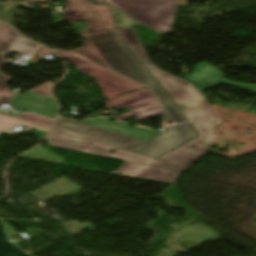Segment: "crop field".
<instances>
[{
  "instance_id": "a9b5d70f",
  "label": "crop field",
  "mask_w": 256,
  "mask_h": 256,
  "mask_svg": "<svg viewBox=\"0 0 256 256\" xmlns=\"http://www.w3.org/2000/svg\"><path fill=\"white\" fill-rule=\"evenodd\" d=\"M104 1V0H103Z\"/></svg>"
},
{
  "instance_id": "733c2abd",
  "label": "crop field",
  "mask_w": 256,
  "mask_h": 256,
  "mask_svg": "<svg viewBox=\"0 0 256 256\" xmlns=\"http://www.w3.org/2000/svg\"><path fill=\"white\" fill-rule=\"evenodd\" d=\"M5 84L6 83L0 82V104L1 103L8 104L9 100L15 94V92L9 91V89L7 87H5ZM3 114H5V113H3ZM6 115H9V114H6ZM9 116H13V115H9Z\"/></svg>"
},
{
  "instance_id": "22f410ed",
  "label": "crop field",
  "mask_w": 256,
  "mask_h": 256,
  "mask_svg": "<svg viewBox=\"0 0 256 256\" xmlns=\"http://www.w3.org/2000/svg\"><path fill=\"white\" fill-rule=\"evenodd\" d=\"M38 45L21 38L9 26L0 22V51L30 54Z\"/></svg>"
},
{
  "instance_id": "92a150f3",
  "label": "crop field",
  "mask_w": 256,
  "mask_h": 256,
  "mask_svg": "<svg viewBox=\"0 0 256 256\" xmlns=\"http://www.w3.org/2000/svg\"><path fill=\"white\" fill-rule=\"evenodd\" d=\"M202 100H204V98H203L202 94H200V95H198V96L196 97V99H195L194 102L187 103L186 105H187L188 108H189V107H193V106L197 105V104H198L200 101H202Z\"/></svg>"
},
{
  "instance_id": "dafd665d",
  "label": "crop field",
  "mask_w": 256,
  "mask_h": 256,
  "mask_svg": "<svg viewBox=\"0 0 256 256\" xmlns=\"http://www.w3.org/2000/svg\"><path fill=\"white\" fill-rule=\"evenodd\" d=\"M93 6L105 5V2L101 0H88Z\"/></svg>"
},
{
  "instance_id": "d1516ede",
  "label": "crop field",
  "mask_w": 256,
  "mask_h": 256,
  "mask_svg": "<svg viewBox=\"0 0 256 256\" xmlns=\"http://www.w3.org/2000/svg\"><path fill=\"white\" fill-rule=\"evenodd\" d=\"M117 174L129 175L134 177L146 178L151 180L162 181L174 184L180 177V173L164 171L144 166H139L125 162L121 167L116 170Z\"/></svg>"
},
{
  "instance_id": "34b2d1b8",
  "label": "crop field",
  "mask_w": 256,
  "mask_h": 256,
  "mask_svg": "<svg viewBox=\"0 0 256 256\" xmlns=\"http://www.w3.org/2000/svg\"><path fill=\"white\" fill-rule=\"evenodd\" d=\"M0 1H27L33 3L45 4L52 0H0ZM66 5V9L63 12L64 20H70L72 22L89 21L90 27L86 32L81 35L84 39L83 47L68 51L76 56H79L85 60H88L96 65H99L107 70L110 67L98 53L96 48L90 42L86 35L113 31L114 27L113 19L107 6L92 7L87 0H63Z\"/></svg>"
},
{
  "instance_id": "4a817a6b",
  "label": "crop field",
  "mask_w": 256,
  "mask_h": 256,
  "mask_svg": "<svg viewBox=\"0 0 256 256\" xmlns=\"http://www.w3.org/2000/svg\"><path fill=\"white\" fill-rule=\"evenodd\" d=\"M50 86H52V83L48 82V83H46V84H44V85H42V86H40L36 89L30 90V91H33V92L51 97V95L49 93V87Z\"/></svg>"
},
{
  "instance_id": "00972430",
  "label": "crop field",
  "mask_w": 256,
  "mask_h": 256,
  "mask_svg": "<svg viewBox=\"0 0 256 256\" xmlns=\"http://www.w3.org/2000/svg\"><path fill=\"white\" fill-rule=\"evenodd\" d=\"M137 128H140V129H143V130H146V131H149V132H152V133L158 134V135H159V132H160V130H150V129L141 128V127H137Z\"/></svg>"
},
{
  "instance_id": "412701ff",
  "label": "crop field",
  "mask_w": 256,
  "mask_h": 256,
  "mask_svg": "<svg viewBox=\"0 0 256 256\" xmlns=\"http://www.w3.org/2000/svg\"><path fill=\"white\" fill-rule=\"evenodd\" d=\"M183 113L200 135L157 160L190 169L198 159L208 153L215 138L211 127L220 124L221 120L207 101L200 102L196 107L189 108Z\"/></svg>"
},
{
  "instance_id": "3316defc",
  "label": "crop field",
  "mask_w": 256,
  "mask_h": 256,
  "mask_svg": "<svg viewBox=\"0 0 256 256\" xmlns=\"http://www.w3.org/2000/svg\"><path fill=\"white\" fill-rule=\"evenodd\" d=\"M195 136H197V134L188 123L173 125L161 130L160 136L130 150L129 152L154 158Z\"/></svg>"
},
{
  "instance_id": "e52e79f7",
  "label": "crop field",
  "mask_w": 256,
  "mask_h": 256,
  "mask_svg": "<svg viewBox=\"0 0 256 256\" xmlns=\"http://www.w3.org/2000/svg\"><path fill=\"white\" fill-rule=\"evenodd\" d=\"M119 32L176 105L194 101L195 96L200 94L191 84L153 66L131 28Z\"/></svg>"
},
{
  "instance_id": "28ad6ade",
  "label": "crop field",
  "mask_w": 256,
  "mask_h": 256,
  "mask_svg": "<svg viewBox=\"0 0 256 256\" xmlns=\"http://www.w3.org/2000/svg\"><path fill=\"white\" fill-rule=\"evenodd\" d=\"M11 106L19 110H27L50 118H54L57 112L54 99L30 91L24 94L17 93L11 102Z\"/></svg>"
},
{
  "instance_id": "d9b57169",
  "label": "crop field",
  "mask_w": 256,
  "mask_h": 256,
  "mask_svg": "<svg viewBox=\"0 0 256 256\" xmlns=\"http://www.w3.org/2000/svg\"><path fill=\"white\" fill-rule=\"evenodd\" d=\"M15 118L20 119V120H24V121H27V122L35 123V124H38V125H42V126H45V127H49V128H51V126L53 124V120L47 119V118H44V117H40V116H36V115H33V114L23 113L22 115L17 116Z\"/></svg>"
},
{
  "instance_id": "8a807250",
  "label": "crop field",
  "mask_w": 256,
  "mask_h": 256,
  "mask_svg": "<svg viewBox=\"0 0 256 256\" xmlns=\"http://www.w3.org/2000/svg\"><path fill=\"white\" fill-rule=\"evenodd\" d=\"M88 38L114 72L151 88L158 104L169 120L175 123L186 121L168 96L135 58L136 56L134 57L116 31L90 35Z\"/></svg>"
},
{
  "instance_id": "5a996713",
  "label": "crop field",
  "mask_w": 256,
  "mask_h": 256,
  "mask_svg": "<svg viewBox=\"0 0 256 256\" xmlns=\"http://www.w3.org/2000/svg\"><path fill=\"white\" fill-rule=\"evenodd\" d=\"M107 108L115 109L125 106L132 112L123 114L118 120L124 121L137 117L138 121L155 115L162 114V111L153 99L149 89L130 93L127 95L107 99Z\"/></svg>"
},
{
  "instance_id": "dd49c442",
  "label": "crop field",
  "mask_w": 256,
  "mask_h": 256,
  "mask_svg": "<svg viewBox=\"0 0 256 256\" xmlns=\"http://www.w3.org/2000/svg\"><path fill=\"white\" fill-rule=\"evenodd\" d=\"M178 0H107L122 11L158 33L169 32Z\"/></svg>"
},
{
  "instance_id": "214f88e0",
  "label": "crop field",
  "mask_w": 256,
  "mask_h": 256,
  "mask_svg": "<svg viewBox=\"0 0 256 256\" xmlns=\"http://www.w3.org/2000/svg\"><path fill=\"white\" fill-rule=\"evenodd\" d=\"M34 54H37L38 56H46L52 54L47 49L40 47L37 51L34 52Z\"/></svg>"
},
{
  "instance_id": "ac0d7876",
  "label": "crop field",
  "mask_w": 256,
  "mask_h": 256,
  "mask_svg": "<svg viewBox=\"0 0 256 256\" xmlns=\"http://www.w3.org/2000/svg\"><path fill=\"white\" fill-rule=\"evenodd\" d=\"M54 130L90 139L123 150H130L158 135L131 128L108 119H88L80 122L59 118Z\"/></svg>"
},
{
  "instance_id": "5142ce71",
  "label": "crop field",
  "mask_w": 256,
  "mask_h": 256,
  "mask_svg": "<svg viewBox=\"0 0 256 256\" xmlns=\"http://www.w3.org/2000/svg\"><path fill=\"white\" fill-rule=\"evenodd\" d=\"M6 241L7 238L0 223V256H28Z\"/></svg>"
},
{
  "instance_id": "bc2a9ffb",
  "label": "crop field",
  "mask_w": 256,
  "mask_h": 256,
  "mask_svg": "<svg viewBox=\"0 0 256 256\" xmlns=\"http://www.w3.org/2000/svg\"><path fill=\"white\" fill-rule=\"evenodd\" d=\"M3 64H5V54L0 53V68L2 67ZM9 80H10V77H8L0 72V81L8 83Z\"/></svg>"
},
{
  "instance_id": "cbeb9de0",
  "label": "crop field",
  "mask_w": 256,
  "mask_h": 256,
  "mask_svg": "<svg viewBox=\"0 0 256 256\" xmlns=\"http://www.w3.org/2000/svg\"><path fill=\"white\" fill-rule=\"evenodd\" d=\"M17 124L37 128L34 131V133H36L40 137H43L49 131V128H45V127H42V126H38V125H35V124L27 123V122H24V121H20V120H17V119H13V118H10V117L0 115V132H5L9 128L14 127Z\"/></svg>"
},
{
  "instance_id": "d8731c3e",
  "label": "crop field",
  "mask_w": 256,
  "mask_h": 256,
  "mask_svg": "<svg viewBox=\"0 0 256 256\" xmlns=\"http://www.w3.org/2000/svg\"><path fill=\"white\" fill-rule=\"evenodd\" d=\"M52 50H54L62 58L66 59L78 70L93 78L98 83L106 99L146 89L130 80L76 57L62 49Z\"/></svg>"
},
{
  "instance_id": "f4fd0767",
  "label": "crop field",
  "mask_w": 256,
  "mask_h": 256,
  "mask_svg": "<svg viewBox=\"0 0 256 256\" xmlns=\"http://www.w3.org/2000/svg\"><path fill=\"white\" fill-rule=\"evenodd\" d=\"M45 141H47V146L49 147L60 148V149L81 152V153H86L91 155H97V156H102V157H107L112 159H118V160L128 161V162H132V163H136L144 166L170 170V171H175L180 173H183L186 170V168L171 165L168 163L157 161L152 158L129 153V152L119 150L113 147H109L100 143H96L90 140L56 132L53 130L45 139ZM112 149L116 150L114 154H110V151Z\"/></svg>"
}]
</instances>
